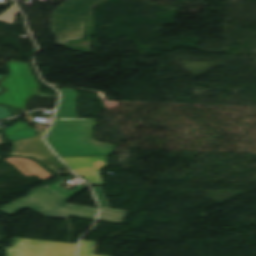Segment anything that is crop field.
<instances>
[{
	"mask_svg": "<svg viewBox=\"0 0 256 256\" xmlns=\"http://www.w3.org/2000/svg\"><path fill=\"white\" fill-rule=\"evenodd\" d=\"M94 125L93 119H54L46 140L60 157L111 155L115 146L92 139Z\"/></svg>",
	"mask_w": 256,
	"mask_h": 256,
	"instance_id": "obj_1",
	"label": "crop field"
},
{
	"mask_svg": "<svg viewBox=\"0 0 256 256\" xmlns=\"http://www.w3.org/2000/svg\"><path fill=\"white\" fill-rule=\"evenodd\" d=\"M54 201V203H52ZM68 199L43 187L31 190L30 194L0 208V212L9 216L29 207L51 218L75 216L94 220L98 209L66 204ZM28 208V209H29Z\"/></svg>",
	"mask_w": 256,
	"mask_h": 256,
	"instance_id": "obj_2",
	"label": "crop field"
},
{
	"mask_svg": "<svg viewBox=\"0 0 256 256\" xmlns=\"http://www.w3.org/2000/svg\"><path fill=\"white\" fill-rule=\"evenodd\" d=\"M99 0H65L53 13L52 29L58 43L83 37L85 20Z\"/></svg>",
	"mask_w": 256,
	"mask_h": 256,
	"instance_id": "obj_3",
	"label": "crop field"
},
{
	"mask_svg": "<svg viewBox=\"0 0 256 256\" xmlns=\"http://www.w3.org/2000/svg\"><path fill=\"white\" fill-rule=\"evenodd\" d=\"M11 75L1 82L7 91L0 96V103H6L17 108H25L29 97L55 96L38 93L39 86L35 77L32 76L30 66L24 63L9 62ZM58 97V96H55Z\"/></svg>",
	"mask_w": 256,
	"mask_h": 256,
	"instance_id": "obj_4",
	"label": "crop field"
},
{
	"mask_svg": "<svg viewBox=\"0 0 256 256\" xmlns=\"http://www.w3.org/2000/svg\"><path fill=\"white\" fill-rule=\"evenodd\" d=\"M77 244L15 238L7 256H75Z\"/></svg>",
	"mask_w": 256,
	"mask_h": 256,
	"instance_id": "obj_5",
	"label": "crop field"
},
{
	"mask_svg": "<svg viewBox=\"0 0 256 256\" xmlns=\"http://www.w3.org/2000/svg\"><path fill=\"white\" fill-rule=\"evenodd\" d=\"M77 174L92 185L103 184L100 170L107 166V156L62 158Z\"/></svg>",
	"mask_w": 256,
	"mask_h": 256,
	"instance_id": "obj_6",
	"label": "crop field"
},
{
	"mask_svg": "<svg viewBox=\"0 0 256 256\" xmlns=\"http://www.w3.org/2000/svg\"><path fill=\"white\" fill-rule=\"evenodd\" d=\"M13 144L11 156L34 157L38 161L55 157L40 137L16 141Z\"/></svg>",
	"mask_w": 256,
	"mask_h": 256,
	"instance_id": "obj_7",
	"label": "crop field"
},
{
	"mask_svg": "<svg viewBox=\"0 0 256 256\" xmlns=\"http://www.w3.org/2000/svg\"><path fill=\"white\" fill-rule=\"evenodd\" d=\"M101 204V213L98 220L123 224L128 211L110 209L106 195L101 186L93 188ZM105 217V219H103ZM117 220V222L115 221Z\"/></svg>",
	"mask_w": 256,
	"mask_h": 256,
	"instance_id": "obj_8",
	"label": "crop field"
},
{
	"mask_svg": "<svg viewBox=\"0 0 256 256\" xmlns=\"http://www.w3.org/2000/svg\"><path fill=\"white\" fill-rule=\"evenodd\" d=\"M62 100L58 107L55 118H77L75 113V100L78 96L74 89H59Z\"/></svg>",
	"mask_w": 256,
	"mask_h": 256,
	"instance_id": "obj_9",
	"label": "crop field"
},
{
	"mask_svg": "<svg viewBox=\"0 0 256 256\" xmlns=\"http://www.w3.org/2000/svg\"><path fill=\"white\" fill-rule=\"evenodd\" d=\"M5 161L13 164L18 170H20L26 176L36 175L41 179H46L48 177H51V175L47 171L42 169L32 160H24L20 158H9Z\"/></svg>",
	"mask_w": 256,
	"mask_h": 256,
	"instance_id": "obj_10",
	"label": "crop field"
},
{
	"mask_svg": "<svg viewBox=\"0 0 256 256\" xmlns=\"http://www.w3.org/2000/svg\"><path fill=\"white\" fill-rule=\"evenodd\" d=\"M37 129H33L31 127H28L27 124L20 122L15 124L13 127H8L5 131V134L7 138L11 140H19V139H25V138H31V137H38L45 134L46 130H42L40 135H35L37 132Z\"/></svg>",
	"mask_w": 256,
	"mask_h": 256,
	"instance_id": "obj_11",
	"label": "crop field"
},
{
	"mask_svg": "<svg viewBox=\"0 0 256 256\" xmlns=\"http://www.w3.org/2000/svg\"><path fill=\"white\" fill-rule=\"evenodd\" d=\"M97 242L81 240L78 256H103L94 255Z\"/></svg>",
	"mask_w": 256,
	"mask_h": 256,
	"instance_id": "obj_12",
	"label": "crop field"
},
{
	"mask_svg": "<svg viewBox=\"0 0 256 256\" xmlns=\"http://www.w3.org/2000/svg\"><path fill=\"white\" fill-rule=\"evenodd\" d=\"M18 12V9L13 4L9 9L0 15V21L14 24V19Z\"/></svg>",
	"mask_w": 256,
	"mask_h": 256,
	"instance_id": "obj_13",
	"label": "crop field"
},
{
	"mask_svg": "<svg viewBox=\"0 0 256 256\" xmlns=\"http://www.w3.org/2000/svg\"><path fill=\"white\" fill-rule=\"evenodd\" d=\"M11 116V113L4 107L0 106V119Z\"/></svg>",
	"mask_w": 256,
	"mask_h": 256,
	"instance_id": "obj_14",
	"label": "crop field"
},
{
	"mask_svg": "<svg viewBox=\"0 0 256 256\" xmlns=\"http://www.w3.org/2000/svg\"><path fill=\"white\" fill-rule=\"evenodd\" d=\"M0 144H3V142H2V135H1V133H0Z\"/></svg>",
	"mask_w": 256,
	"mask_h": 256,
	"instance_id": "obj_15",
	"label": "crop field"
},
{
	"mask_svg": "<svg viewBox=\"0 0 256 256\" xmlns=\"http://www.w3.org/2000/svg\"><path fill=\"white\" fill-rule=\"evenodd\" d=\"M5 75H0V79L3 78ZM3 91L1 88H0V92Z\"/></svg>",
	"mask_w": 256,
	"mask_h": 256,
	"instance_id": "obj_16",
	"label": "crop field"
}]
</instances>
